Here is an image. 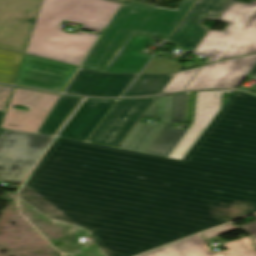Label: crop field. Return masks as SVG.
Returning <instances> with one entry per match:
<instances>
[{"mask_svg":"<svg viewBox=\"0 0 256 256\" xmlns=\"http://www.w3.org/2000/svg\"><path fill=\"white\" fill-rule=\"evenodd\" d=\"M42 0H0V48L25 53Z\"/></svg>","mask_w":256,"mask_h":256,"instance_id":"9","label":"crop field"},{"mask_svg":"<svg viewBox=\"0 0 256 256\" xmlns=\"http://www.w3.org/2000/svg\"><path fill=\"white\" fill-rule=\"evenodd\" d=\"M105 149L56 138L25 185L91 229L109 217L84 178L111 217L146 209L147 206Z\"/></svg>","mask_w":256,"mask_h":256,"instance_id":"2","label":"crop field"},{"mask_svg":"<svg viewBox=\"0 0 256 256\" xmlns=\"http://www.w3.org/2000/svg\"><path fill=\"white\" fill-rule=\"evenodd\" d=\"M227 250L212 252L200 236L174 243L140 256H240L253 249L250 236L225 244Z\"/></svg>","mask_w":256,"mask_h":256,"instance_id":"18","label":"crop field"},{"mask_svg":"<svg viewBox=\"0 0 256 256\" xmlns=\"http://www.w3.org/2000/svg\"><path fill=\"white\" fill-rule=\"evenodd\" d=\"M219 21L229 25L224 31H209L192 53L210 57V63L256 52V0L233 1Z\"/></svg>","mask_w":256,"mask_h":256,"instance_id":"6","label":"crop field"},{"mask_svg":"<svg viewBox=\"0 0 256 256\" xmlns=\"http://www.w3.org/2000/svg\"><path fill=\"white\" fill-rule=\"evenodd\" d=\"M3 113H4V112L0 111V123H1V120H2V117H3ZM4 132H5V130H1V129H0V135H1L2 133H4Z\"/></svg>","mask_w":256,"mask_h":256,"instance_id":"38","label":"crop field"},{"mask_svg":"<svg viewBox=\"0 0 256 256\" xmlns=\"http://www.w3.org/2000/svg\"><path fill=\"white\" fill-rule=\"evenodd\" d=\"M117 101L86 99L57 137L86 142Z\"/></svg>","mask_w":256,"mask_h":256,"instance_id":"17","label":"crop field"},{"mask_svg":"<svg viewBox=\"0 0 256 256\" xmlns=\"http://www.w3.org/2000/svg\"><path fill=\"white\" fill-rule=\"evenodd\" d=\"M175 74L170 75H139L126 96H146L158 94L163 91Z\"/></svg>","mask_w":256,"mask_h":256,"instance_id":"23","label":"crop field"},{"mask_svg":"<svg viewBox=\"0 0 256 256\" xmlns=\"http://www.w3.org/2000/svg\"><path fill=\"white\" fill-rule=\"evenodd\" d=\"M187 93L174 95L170 124H166L160 134L146 150V154L167 157L187 130L172 129L175 121L183 122Z\"/></svg>","mask_w":256,"mask_h":256,"instance_id":"20","label":"crop field"},{"mask_svg":"<svg viewBox=\"0 0 256 256\" xmlns=\"http://www.w3.org/2000/svg\"><path fill=\"white\" fill-rule=\"evenodd\" d=\"M19 199L89 233L93 230L86 229L74 220H72L70 217H68L65 213H63L60 209H58L56 206H54L51 202H49L46 198H44L42 195L37 193L35 190L23 186V188L19 192Z\"/></svg>","mask_w":256,"mask_h":256,"instance_id":"24","label":"crop field"},{"mask_svg":"<svg viewBox=\"0 0 256 256\" xmlns=\"http://www.w3.org/2000/svg\"><path fill=\"white\" fill-rule=\"evenodd\" d=\"M105 148L148 208L205 195L152 212L171 242L228 222L206 194L217 205L240 198L244 216L256 212V174Z\"/></svg>","mask_w":256,"mask_h":256,"instance_id":"1","label":"crop field"},{"mask_svg":"<svg viewBox=\"0 0 256 256\" xmlns=\"http://www.w3.org/2000/svg\"><path fill=\"white\" fill-rule=\"evenodd\" d=\"M255 64L256 55H252L203 66L186 90L238 88Z\"/></svg>","mask_w":256,"mask_h":256,"instance_id":"14","label":"crop field"},{"mask_svg":"<svg viewBox=\"0 0 256 256\" xmlns=\"http://www.w3.org/2000/svg\"><path fill=\"white\" fill-rule=\"evenodd\" d=\"M51 136L7 130L0 136V181L22 184Z\"/></svg>","mask_w":256,"mask_h":256,"instance_id":"8","label":"crop field"},{"mask_svg":"<svg viewBox=\"0 0 256 256\" xmlns=\"http://www.w3.org/2000/svg\"><path fill=\"white\" fill-rule=\"evenodd\" d=\"M12 89L10 87L0 86V110L4 111Z\"/></svg>","mask_w":256,"mask_h":256,"instance_id":"31","label":"crop field"},{"mask_svg":"<svg viewBox=\"0 0 256 256\" xmlns=\"http://www.w3.org/2000/svg\"><path fill=\"white\" fill-rule=\"evenodd\" d=\"M173 95L160 97L158 117L159 126L138 123L119 148L144 153L166 123H169Z\"/></svg>","mask_w":256,"mask_h":256,"instance_id":"19","label":"crop field"},{"mask_svg":"<svg viewBox=\"0 0 256 256\" xmlns=\"http://www.w3.org/2000/svg\"><path fill=\"white\" fill-rule=\"evenodd\" d=\"M157 102H158V99H156L155 103L151 106V108L146 112V114L144 116H148V117H154L155 116V112H156V108H157Z\"/></svg>","mask_w":256,"mask_h":256,"instance_id":"35","label":"crop field"},{"mask_svg":"<svg viewBox=\"0 0 256 256\" xmlns=\"http://www.w3.org/2000/svg\"><path fill=\"white\" fill-rule=\"evenodd\" d=\"M90 238H91L93 241H95L102 249H104L110 256H114L113 253H112V251H111L110 249L102 247V243H103V241H104L103 238H93L92 236H90Z\"/></svg>","mask_w":256,"mask_h":256,"instance_id":"34","label":"crop field"},{"mask_svg":"<svg viewBox=\"0 0 256 256\" xmlns=\"http://www.w3.org/2000/svg\"><path fill=\"white\" fill-rule=\"evenodd\" d=\"M241 228L245 229L246 231L252 233L255 237V241H256V222L254 223H249L245 226H241ZM251 234V235H252Z\"/></svg>","mask_w":256,"mask_h":256,"instance_id":"33","label":"crop field"},{"mask_svg":"<svg viewBox=\"0 0 256 256\" xmlns=\"http://www.w3.org/2000/svg\"><path fill=\"white\" fill-rule=\"evenodd\" d=\"M242 256H256V250L253 249V250L243 254Z\"/></svg>","mask_w":256,"mask_h":256,"instance_id":"37","label":"crop field"},{"mask_svg":"<svg viewBox=\"0 0 256 256\" xmlns=\"http://www.w3.org/2000/svg\"><path fill=\"white\" fill-rule=\"evenodd\" d=\"M199 68L177 73L162 93L183 90Z\"/></svg>","mask_w":256,"mask_h":256,"instance_id":"26","label":"crop field"},{"mask_svg":"<svg viewBox=\"0 0 256 256\" xmlns=\"http://www.w3.org/2000/svg\"><path fill=\"white\" fill-rule=\"evenodd\" d=\"M20 67L0 63V82L13 84Z\"/></svg>","mask_w":256,"mask_h":256,"instance_id":"27","label":"crop field"},{"mask_svg":"<svg viewBox=\"0 0 256 256\" xmlns=\"http://www.w3.org/2000/svg\"><path fill=\"white\" fill-rule=\"evenodd\" d=\"M25 55L0 49V62L20 66Z\"/></svg>","mask_w":256,"mask_h":256,"instance_id":"28","label":"crop field"},{"mask_svg":"<svg viewBox=\"0 0 256 256\" xmlns=\"http://www.w3.org/2000/svg\"><path fill=\"white\" fill-rule=\"evenodd\" d=\"M138 74H104L80 68L65 93L120 97Z\"/></svg>","mask_w":256,"mask_h":256,"instance_id":"15","label":"crop field"},{"mask_svg":"<svg viewBox=\"0 0 256 256\" xmlns=\"http://www.w3.org/2000/svg\"><path fill=\"white\" fill-rule=\"evenodd\" d=\"M248 77L256 79V65L255 67L252 69V71L249 73Z\"/></svg>","mask_w":256,"mask_h":256,"instance_id":"36","label":"crop field"},{"mask_svg":"<svg viewBox=\"0 0 256 256\" xmlns=\"http://www.w3.org/2000/svg\"><path fill=\"white\" fill-rule=\"evenodd\" d=\"M196 92L190 93L186 122H193Z\"/></svg>","mask_w":256,"mask_h":256,"instance_id":"32","label":"crop field"},{"mask_svg":"<svg viewBox=\"0 0 256 256\" xmlns=\"http://www.w3.org/2000/svg\"><path fill=\"white\" fill-rule=\"evenodd\" d=\"M59 98V95L15 88L1 127L37 133ZM14 105H23L30 110H18L13 108Z\"/></svg>","mask_w":256,"mask_h":256,"instance_id":"11","label":"crop field"},{"mask_svg":"<svg viewBox=\"0 0 256 256\" xmlns=\"http://www.w3.org/2000/svg\"><path fill=\"white\" fill-rule=\"evenodd\" d=\"M76 67L25 56L15 85L61 92Z\"/></svg>","mask_w":256,"mask_h":256,"instance_id":"13","label":"crop field"},{"mask_svg":"<svg viewBox=\"0 0 256 256\" xmlns=\"http://www.w3.org/2000/svg\"><path fill=\"white\" fill-rule=\"evenodd\" d=\"M238 230L235 226L231 224H226L224 226L218 227L216 229L210 230L208 232L203 233V236L206 238V240Z\"/></svg>","mask_w":256,"mask_h":256,"instance_id":"30","label":"crop field"},{"mask_svg":"<svg viewBox=\"0 0 256 256\" xmlns=\"http://www.w3.org/2000/svg\"><path fill=\"white\" fill-rule=\"evenodd\" d=\"M92 236L104 237L103 246L110 248L115 256H132L170 243L149 210L110 220Z\"/></svg>","mask_w":256,"mask_h":256,"instance_id":"7","label":"crop field"},{"mask_svg":"<svg viewBox=\"0 0 256 256\" xmlns=\"http://www.w3.org/2000/svg\"><path fill=\"white\" fill-rule=\"evenodd\" d=\"M151 38L135 35L107 72L139 73L151 58L150 55L140 54Z\"/></svg>","mask_w":256,"mask_h":256,"instance_id":"21","label":"crop field"},{"mask_svg":"<svg viewBox=\"0 0 256 256\" xmlns=\"http://www.w3.org/2000/svg\"><path fill=\"white\" fill-rule=\"evenodd\" d=\"M155 99L119 100L87 142L117 148Z\"/></svg>","mask_w":256,"mask_h":256,"instance_id":"10","label":"crop field"},{"mask_svg":"<svg viewBox=\"0 0 256 256\" xmlns=\"http://www.w3.org/2000/svg\"><path fill=\"white\" fill-rule=\"evenodd\" d=\"M62 20L75 22V21H71L68 19H64V18L55 16L48 35L66 39V40H70V41H74V42H78V43H82V44H86V45H90V46H92V44L98 37V35H96V34H91V33H86V32H81V31H78L76 34L66 33V32L62 31L63 30L62 27H59ZM76 23H79V22H76ZM81 24H83V23H81ZM82 29L98 31V32L102 31V28L90 26L87 24H84L82 26Z\"/></svg>","mask_w":256,"mask_h":256,"instance_id":"25","label":"crop field"},{"mask_svg":"<svg viewBox=\"0 0 256 256\" xmlns=\"http://www.w3.org/2000/svg\"><path fill=\"white\" fill-rule=\"evenodd\" d=\"M183 160L256 173V96L235 91Z\"/></svg>","mask_w":256,"mask_h":256,"instance_id":"3","label":"crop field"},{"mask_svg":"<svg viewBox=\"0 0 256 256\" xmlns=\"http://www.w3.org/2000/svg\"><path fill=\"white\" fill-rule=\"evenodd\" d=\"M195 2L183 0L177 9L121 4L82 67L105 72L134 33L168 38Z\"/></svg>","mask_w":256,"mask_h":256,"instance_id":"4","label":"crop field"},{"mask_svg":"<svg viewBox=\"0 0 256 256\" xmlns=\"http://www.w3.org/2000/svg\"><path fill=\"white\" fill-rule=\"evenodd\" d=\"M81 100L80 98L61 96L38 133L54 136Z\"/></svg>","mask_w":256,"mask_h":256,"instance_id":"22","label":"crop field"},{"mask_svg":"<svg viewBox=\"0 0 256 256\" xmlns=\"http://www.w3.org/2000/svg\"><path fill=\"white\" fill-rule=\"evenodd\" d=\"M119 5L106 0H43L26 54L79 66L90 47L47 36L54 15L106 28Z\"/></svg>","mask_w":256,"mask_h":256,"instance_id":"5","label":"crop field"},{"mask_svg":"<svg viewBox=\"0 0 256 256\" xmlns=\"http://www.w3.org/2000/svg\"><path fill=\"white\" fill-rule=\"evenodd\" d=\"M232 91L197 92L194 123L169 154V158L182 160L200 135L220 111L221 95Z\"/></svg>","mask_w":256,"mask_h":256,"instance_id":"16","label":"crop field"},{"mask_svg":"<svg viewBox=\"0 0 256 256\" xmlns=\"http://www.w3.org/2000/svg\"><path fill=\"white\" fill-rule=\"evenodd\" d=\"M231 1L197 0L167 41L179 43V50L192 52L209 31L200 23L206 18L218 20Z\"/></svg>","mask_w":256,"mask_h":256,"instance_id":"12","label":"crop field"},{"mask_svg":"<svg viewBox=\"0 0 256 256\" xmlns=\"http://www.w3.org/2000/svg\"><path fill=\"white\" fill-rule=\"evenodd\" d=\"M232 201H228L218 206L229 221L243 217L242 213L238 210Z\"/></svg>","mask_w":256,"mask_h":256,"instance_id":"29","label":"crop field"}]
</instances>
